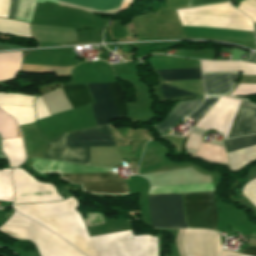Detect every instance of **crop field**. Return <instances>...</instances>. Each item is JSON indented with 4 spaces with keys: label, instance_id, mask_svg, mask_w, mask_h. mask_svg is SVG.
<instances>
[{
    "label": "crop field",
    "instance_id": "crop-field-23",
    "mask_svg": "<svg viewBox=\"0 0 256 256\" xmlns=\"http://www.w3.org/2000/svg\"><path fill=\"white\" fill-rule=\"evenodd\" d=\"M219 97H208L204 101V103L198 107L193 113L189 116L200 119L203 115H205L211 107L216 103Z\"/></svg>",
    "mask_w": 256,
    "mask_h": 256
},
{
    "label": "crop field",
    "instance_id": "crop-field-22",
    "mask_svg": "<svg viewBox=\"0 0 256 256\" xmlns=\"http://www.w3.org/2000/svg\"><path fill=\"white\" fill-rule=\"evenodd\" d=\"M12 0H0V17L9 18ZM18 0H13L11 16L14 19Z\"/></svg>",
    "mask_w": 256,
    "mask_h": 256
},
{
    "label": "crop field",
    "instance_id": "crop-field-26",
    "mask_svg": "<svg viewBox=\"0 0 256 256\" xmlns=\"http://www.w3.org/2000/svg\"><path fill=\"white\" fill-rule=\"evenodd\" d=\"M224 1L226 0H188V3H189V7H192V6L218 3V2H224Z\"/></svg>",
    "mask_w": 256,
    "mask_h": 256
},
{
    "label": "crop field",
    "instance_id": "crop-field-21",
    "mask_svg": "<svg viewBox=\"0 0 256 256\" xmlns=\"http://www.w3.org/2000/svg\"><path fill=\"white\" fill-rule=\"evenodd\" d=\"M17 124L14 119L0 110L1 138L16 137Z\"/></svg>",
    "mask_w": 256,
    "mask_h": 256
},
{
    "label": "crop field",
    "instance_id": "crop-field-28",
    "mask_svg": "<svg viewBox=\"0 0 256 256\" xmlns=\"http://www.w3.org/2000/svg\"><path fill=\"white\" fill-rule=\"evenodd\" d=\"M11 48H25V47L14 46V45H8V44H1V43H0V50H3V49H11Z\"/></svg>",
    "mask_w": 256,
    "mask_h": 256
},
{
    "label": "crop field",
    "instance_id": "crop-field-27",
    "mask_svg": "<svg viewBox=\"0 0 256 256\" xmlns=\"http://www.w3.org/2000/svg\"><path fill=\"white\" fill-rule=\"evenodd\" d=\"M240 254H245V255H249V256H256V247L250 246L244 250H242L241 252H239Z\"/></svg>",
    "mask_w": 256,
    "mask_h": 256
},
{
    "label": "crop field",
    "instance_id": "crop-field-1",
    "mask_svg": "<svg viewBox=\"0 0 256 256\" xmlns=\"http://www.w3.org/2000/svg\"><path fill=\"white\" fill-rule=\"evenodd\" d=\"M18 212L45 225L87 256H157V238L132 231L89 237L75 197L62 202L13 205Z\"/></svg>",
    "mask_w": 256,
    "mask_h": 256
},
{
    "label": "crop field",
    "instance_id": "crop-field-3",
    "mask_svg": "<svg viewBox=\"0 0 256 256\" xmlns=\"http://www.w3.org/2000/svg\"><path fill=\"white\" fill-rule=\"evenodd\" d=\"M236 99L221 97L213 108L195 125L197 128L208 130L213 128L229 135ZM246 102H237L234 119L229 137L256 133V109L244 106Z\"/></svg>",
    "mask_w": 256,
    "mask_h": 256
},
{
    "label": "crop field",
    "instance_id": "crop-field-8",
    "mask_svg": "<svg viewBox=\"0 0 256 256\" xmlns=\"http://www.w3.org/2000/svg\"><path fill=\"white\" fill-rule=\"evenodd\" d=\"M61 179H65L74 184H93V183H115L125 182L113 174H70L59 173ZM85 192L92 194L113 195L128 194L126 183L115 184H93L82 185Z\"/></svg>",
    "mask_w": 256,
    "mask_h": 256
},
{
    "label": "crop field",
    "instance_id": "crop-field-14",
    "mask_svg": "<svg viewBox=\"0 0 256 256\" xmlns=\"http://www.w3.org/2000/svg\"><path fill=\"white\" fill-rule=\"evenodd\" d=\"M201 102L202 99H197L177 103L165 118L164 122L160 125H155L154 127L163 134L182 118L184 119L188 114H190L199 104H201Z\"/></svg>",
    "mask_w": 256,
    "mask_h": 256
},
{
    "label": "crop field",
    "instance_id": "crop-field-6",
    "mask_svg": "<svg viewBox=\"0 0 256 256\" xmlns=\"http://www.w3.org/2000/svg\"><path fill=\"white\" fill-rule=\"evenodd\" d=\"M185 216L189 228H206L216 231L217 212L214 192L182 194Z\"/></svg>",
    "mask_w": 256,
    "mask_h": 256
},
{
    "label": "crop field",
    "instance_id": "crop-field-2",
    "mask_svg": "<svg viewBox=\"0 0 256 256\" xmlns=\"http://www.w3.org/2000/svg\"><path fill=\"white\" fill-rule=\"evenodd\" d=\"M96 104L93 105V114L96 125L109 124L110 120L125 118L126 105L124 103L123 91L118 82L108 83V87L114 102L105 84H87ZM64 93L73 108L93 103L85 85L62 86Z\"/></svg>",
    "mask_w": 256,
    "mask_h": 256
},
{
    "label": "crop field",
    "instance_id": "crop-field-10",
    "mask_svg": "<svg viewBox=\"0 0 256 256\" xmlns=\"http://www.w3.org/2000/svg\"><path fill=\"white\" fill-rule=\"evenodd\" d=\"M226 152H232L235 150L243 149L256 145V135L236 138L232 140L223 141ZM230 166L232 169L238 168L243 164L256 157V146L239 150L236 152L228 153Z\"/></svg>",
    "mask_w": 256,
    "mask_h": 256
},
{
    "label": "crop field",
    "instance_id": "crop-field-4",
    "mask_svg": "<svg viewBox=\"0 0 256 256\" xmlns=\"http://www.w3.org/2000/svg\"><path fill=\"white\" fill-rule=\"evenodd\" d=\"M0 231L31 240L40 256H83L63 239L16 212L0 226Z\"/></svg>",
    "mask_w": 256,
    "mask_h": 256
},
{
    "label": "crop field",
    "instance_id": "crop-field-13",
    "mask_svg": "<svg viewBox=\"0 0 256 256\" xmlns=\"http://www.w3.org/2000/svg\"><path fill=\"white\" fill-rule=\"evenodd\" d=\"M200 139H201V136L196 135L194 133H190L185 143V147L197 149L198 151L196 155L204 159H207L209 161L228 164L223 147L212 146V145L202 143L200 142Z\"/></svg>",
    "mask_w": 256,
    "mask_h": 256
},
{
    "label": "crop field",
    "instance_id": "crop-field-12",
    "mask_svg": "<svg viewBox=\"0 0 256 256\" xmlns=\"http://www.w3.org/2000/svg\"><path fill=\"white\" fill-rule=\"evenodd\" d=\"M239 72L203 73L205 95H227L235 85Z\"/></svg>",
    "mask_w": 256,
    "mask_h": 256
},
{
    "label": "crop field",
    "instance_id": "crop-field-16",
    "mask_svg": "<svg viewBox=\"0 0 256 256\" xmlns=\"http://www.w3.org/2000/svg\"><path fill=\"white\" fill-rule=\"evenodd\" d=\"M28 52L0 54V81L12 79L15 76Z\"/></svg>",
    "mask_w": 256,
    "mask_h": 256
},
{
    "label": "crop field",
    "instance_id": "crop-field-5",
    "mask_svg": "<svg viewBox=\"0 0 256 256\" xmlns=\"http://www.w3.org/2000/svg\"><path fill=\"white\" fill-rule=\"evenodd\" d=\"M152 227L187 228L180 195L148 196Z\"/></svg>",
    "mask_w": 256,
    "mask_h": 256
},
{
    "label": "crop field",
    "instance_id": "crop-field-31",
    "mask_svg": "<svg viewBox=\"0 0 256 256\" xmlns=\"http://www.w3.org/2000/svg\"><path fill=\"white\" fill-rule=\"evenodd\" d=\"M0 158H5V157L0 153Z\"/></svg>",
    "mask_w": 256,
    "mask_h": 256
},
{
    "label": "crop field",
    "instance_id": "crop-field-19",
    "mask_svg": "<svg viewBox=\"0 0 256 256\" xmlns=\"http://www.w3.org/2000/svg\"><path fill=\"white\" fill-rule=\"evenodd\" d=\"M74 5L83 6L99 11H114L122 0H62Z\"/></svg>",
    "mask_w": 256,
    "mask_h": 256
},
{
    "label": "crop field",
    "instance_id": "crop-field-11",
    "mask_svg": "<svg viewBox=\"0 0 256 256\" xmlns=\"http://www.w3.org/2000/svg\"><path fill=\"white\" fill-rule=\"evenodd\" d=\"M65 152L67 161L90 165L86 147L65 148ZM65 152L64 137L61 135L47 142V148L42 157L47 159H58L66 161Z\"/></svg>",
    "mask_w": 256,
    "mask_h": 256
},
{
    "label": "crop field",
    "instance_id": "crop-field-20",
    "mask_svg": "<svg viewBox=\"0 0 256 256\" xmlns=\"http://www.w3.org/2000/svg\"><path fill=\"white\" fill-rule=\"evenodd\" d=\"M10 170H0V200L13 201L12 184L10 180Z\"/></svg>",
    "mask_w": 256,
    "mask_h": 256
},
{
    "label": "crop field",
    "instance_id": "crop-field-24",
    "mask_svg": "<svg viewBox=\"0 0 256 256\" xmlns=\"http://www.w3.org/2000/svg\"><path fill=\"white\" fill-rule=\"evenodd\" d=\"M161 85V89L164 95V98H171V97H181V96H187V95H195L174 87H171L169 85L166 84H160Z\"/></svg>",
    "mask_w": 256,
    "mask_h": 256
},
{
    "label": "crop field",
    "instance_id": "crop-field-30",
    "mask_svg": "<svg viewBox=\"0 0 256 256\" xmlns=\"http://www.w3.org/2000/svg\"><path fill=\"white\" fill-rule=\"evenodd\" d=\"M123 2L131 3V0H124Z\"/></svg>",
    "mask_w": 256,
    "mask_h": 256
},
{
    "label": "crop field",
    "instance_id": "crop-field-9",
    "mask_svg": "<svg viewBox=\"0 0 256 256\" xmlns=\"http://www.w3.org/2000/svg\"><path fill=\"white\" fill-rule=\"evenodd\" d=\"M64 136L66 147L114 146L108 126L73 131Z\"/></svg>",
    "mask_w": 256,
    "mask_h": 256
},
{
    "label": "crop field",
    "instance_id": "crop-field-25",
    "mask_svg": "<svg viewBox=\"0 0 256 256\" xmlns=\"http://www.w3.org/2000/svg\"><path fill=\"white\" fill-rule=\"evenodd\" d=\"M256 93V84H240L231 95H247Z\"/></svg>",
    "mask_w": 256,
    "mask_h": 256
},
{
    "label": "crop field",
    "instance_id": "crop-field-18",
    "mask_svg": "<svg viewBox=\"0 0 256 256\" xmlns=\"http://www.w3.org/2000/svg\"><path fill=\"white\" fill-rule=\"evenodd\" d=\"M157 72L165 81L201 79L200 68L167 69Z\"/></svg>",
    "mask_w": 256,
    "mask_h": 256
},
{
    "label": "crop field",
    "instance_id": "crop-field-17",
    "mask_svg": "<svg viewBox=\"0 0 256 256\" xmlns=\"http://www.w3.org/2000/svg\"><path fill=\"white\" fill-rule=\"evenodd\" d=\"M1 148L10 167H17L24 161L25 153L21 138L2 140Z\"/></svg>",
    "mask_w": 256,
    "mask_h": 256
},
{
    "label": "crop field",
    "instance_id": "crop-field-15",
    "mask_svg": "<svg viewBox=\"0 0 256 256\" xmlns=\"http://www.w3.org/2000/svg\"><path fill=\"white\" fill-rule=\"evenodd\" d=\"M203 72L243 71L242 75H256V65L245 62L201 61Z\"/></svg>",
    "mask_w": 256,
    "mask_h": 256
},
{
    "label": "crop field",
    "instance_id": "crop-field-7",
    "mask_svg": "<svg viewBox=\"0 0 256 256\" xmlns=\"http://www.w3.org/2000/svg\"><path fill=\"white\" fill-rule=\"evenodd\" d=\"M15 188V203L62 200L52 185L39 183L25 171L16 168L12 173Z\"/></svg>",
    "mask_w": 256,
    "mask_h": 256
},
{
    "label": "crop field",
    "instance_id": "crop-field-29",
    "mask_svg": "<svg viewBox=\"0 0 256 256\" xmlns=\"http://www.w3.org/2000/svg\"><path fill=\"white\" fill-rule=\"evenodd\" d=\"M248 62L256 64V54L255 53H252L251 58Z\"/></svg>",
    "mask_w": 256,
    "mask_h": 256
}]
</instances>
